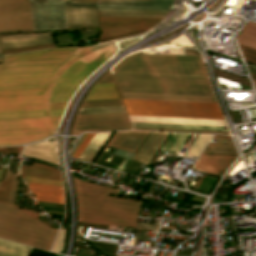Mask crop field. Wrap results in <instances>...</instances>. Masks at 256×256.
<instances>
[{"label":"crop field","instance_id":"crop-field-1","mask_svg":"<svg viewBox=\"0 0 256 256\" xmlns=\"http://www.w3.org/2000/svg\"><path fill=\"white\" fill-rule=\"evenodd\" d=\"M110 53L91 46L4 56L0 112L63 108L65 102L48 103L52 87L78 85Z\"/></svg>","mask_w":256,"mask_h":256},{"label":"crop field","instance_id":"crop-field-2","mask_svg":"<svg viewBox=\"0 0 256 256\" xmlns=\"http://www.w3.org/2000/svg\"><path fill=\"white\" fill-rule=\"evenodd\" d=\"M78 221L155 231L158 225L136 223L142 202L106 197L116 189L79 180L73 175Z\"/></svg>","mask_w":256,"mask_h":256},{"label":"crop field","instance_id":"crop-field-3","mask_svg":"<svg viewBox=\"0 0 256 256\" xmlns=\"http://www.w3.org/2000/svg\"><path fill=\"white\" fill-rule=\"evenodd\" d=\"M18 176L6 170L0 185V237L49 250L57 229L48 227L13 205Z\"/></svg>","mask_w":256,"mask_h":256},{"label":"crop field","instance_id":"crop-field-4","mask_svg":"<svg viewBox=\"0 0 256 256\" xmlns=\"http://www.w3.org/2000/svg\"><path fill=\"white\" fill-rule=\"evenodd\" d=\"M112 73L208 78L201 57L132 54Z\"/></svg>","mask_w":256,"mask_h":256},{"label":"crop field","instance_id":"crop-field-5","mask_svg":"<svg viewBox=\"0 0 256 256\" xmlns=\"http://www.w3.org/2000/svg\"><path fill=\"white\" fill-rule=\"evenodd\" d=\"M113 75L120 92L214 96L208 79Z\"/></svg>","mask_w":256,"mask_h":256},{"label":"crop field","instance_id":"crop-field-6","mask_svg":"<svg viewBox=\"0 0 256 256\" xmlns=\"http://www.w3.org/2000/svg\"><path fill=\"white\" fill-rule=\"evenodd\" d=\"M122 100L128 115L224 119L217 103Z\"/></svg>","mask_w":256,"mask_h":256},{"label":"crop field","instance_id":"crop-field-7","mask_svg":"<svg viewBox=\"0 0 256 256\" xmlns=\"http://www.w3.org/2000/svg\"><path fill=\"white\" fill-rule=\"evenodd\" d=\"M59 116L0 120V145L29 142L51 135Z\"/></svg>","mask_w":256,"mask_h":256},{"label":"crop field","instance_id":"crop-field-8","mask_svg":"<svg viewBox=\"0 0 256 256\" xmlns=\"http://www.w3.org/2000/svg\"><path fill=\"white\" fill-rule=\"evenodd\" d=\"M145 134L146 132L144 131L115 132L108 144L135 152ZM167 135L168 133L149 132L134 155L133 160L149 164Z\"/></svg>","mask_w":256,"mask_h":256},{"label":"crop field","instance_id":"crop-field-9","mask_svg":"<svg viewBox=\"0 0 256 256\" xmlns=\"http://www.w3.org/2000/svg\"><path fill=\"white\" fill-rule=\"evenodd\" d=\"M102 34L99 42L142 33L163 18H99Z\"/></svg>","mask_w":256,"mask_h":256},{"label":"crop field","instance_id":"crop-field-10","mask_svg":"<svg viewBox=\"0 0 256 256\" xmlns=\"http://www.w3.org/2000/svg\"><path fill=\"white\" fill-rule=\"evenodd\" d=\"M34 31L67 28L63 0H29Z\"/></svg>","mask_w":256,"mask_h":256},{"label":"crop field","instance_id":"crop-field-11","mask_svg":"<svg viewBox=\"0 0 256 256\" xmlns=\"http://www.w3.org/2000/svg\"><path fill=\"white\" fill-rule=\"evenodd\" d=\"M33 31L28 0H0V32Z\"/></svg>","mask_w":256,"mask_h":256},{"label":"crop field","instance_id":"crop-field-12","mask_svg":"<svg viewBox=\"0 0 256 256\" xmlns=\"http://www.w3.org/2000/svg\"><path fill=\"white\" fill-rule=\"evenodd\" d=\"M131 129L125 113L77 115L72 132Z\"/></svg>","mask_w":256,"mask_h":256},{"label":"crop field","instance_id":"crop-field-13","mask_svg":"<svg viewBox=\"0 0 256 256\" xmlns=\"http://www.w3.org/2000/svg\"><path fill=\"white\" fill-rule=\"evenodd\" d=\"M68 28L99 26L95 0H64Z\"/></svg>","mask_w":256,"mask_h":256},{"label":"crop field","instance_id":"crop-field-14","mask_svg":"<svg viewBox=\"0 0 256 256\" xmlns=\"http://www.w3.org/2000/svg\"><path fill=\"white\" fill-rule=\"evenodd\" d=\"M173 0H97L98 10H169Z\"/></svg>","mask_w":256,"mask_h":256},{"label":"crop field","instance_id":"crop-field-15","mask_svg":"<svg viewBox=\"0 0 256 256\" xmlns=\"http://www.w3.org/2000/svg\"><path fill=\"white\" fill-rule=\"evenodd\" d=\"M1 47L12 48V47H20L34 44H42L52 42L50 32L46 33H30V34H15L9 36L0 37Z\"/></svg>","mask_w":256,"mask_h":256},{"label":"crop field","instance_id":"crop-field-16","mask_svg":"<svg viewBox=\"0 0 256 256\" xmlns=\"http://www.w3.org/2000/svg\"><path fill=\"white\" fill-rule=\"evenodd\" d=\"M131 122L226 126L224 120L128 116Z\"/></svg>","mask_w":256,"mask_h":256},{"label":"crop field","instance_id":"crop-field-17","mask_svg":"<svg viewBox=\"0 0 256 256\" xmlns=\"http://www.w3.org/2000/svg\"><path fill=\"white\" fill-rule=\"evenodd\" d=\"M237 157L201 155L194 168L222 176Z\"/></svg>","mask_w":256,"mask_h":256},{"label":"crop field","instance_id":"crop-field-18","mask_svg":"<svg viewBox=\"0 0 256 256\" xmlns=\"http://www.w3.org/2000/svg\"><path fill=\"white\" fill-rule=\"evenodd\" d=\"M22 155L58 165V153L53 141L28 145Z\"/></svg>","mask_w":256,"mask_h":256},{"label":"crop field","instance_id":"crop-field-19","mask_svg":"<svg viewBox=\"0 0 256 256\" xmlns=\"http://www.w3.org/2000/svg\"><path fill=\"white\" fill-rule=\"evenodd\" d=\"M31 193L35 194V199L40 201L64 204L62 187L48 186L27 182Z\"/></svg>","mask_w":256,"mask_h":256},{"label":"crop field","instance_id":"crop-field-20","mask_svg":"<svg viewBox=\"0 0 256 256\" xmlns=\"http://www.w3.org/2000/svg\"><path fill=\"white\" fill-rule=\"evenodd\" d=\"M212 140L217 144L209 143L203 154L237 156L230 135H214Z\"/></svg>","mask_w":256,"mask_h":256},{"label":"crop field","instance_id":"crop-field-21","mask_svg":"<svg viewBox=\"0 0 256 256\" xmlns=\"http://www.w3.org/2000/svg\"><path fill=\"white\" fill-rule=\"evenodd\" d=\"M36 163H33L32 167L22 166L20 176L23 178L24 175H27V176L62 181L60 172L56 168L50 167V166H44L45 164L40 165Z\"/></svg>","mask_w":256,"mask_h":256},{"label":"crop field","instance_id":"crop-field-22","mask_svg":"<svg viewBox=\"0 0 256 256\" xmlns=\"http://www.w3.org/2000/svg\"><path fill=\"white\" fill-rule=\"evenodd\" d=\"M122 98L217 102L215 97L120 93Z\"/></svg>","mask_w":256,"mask_h":256},{"label":"crop field","instance_id":"crop-field-23","mask_svg":"<svg viewBox=\"0 0 256 256\" xmlns=\"http://www.w3.org/2000/svg\"><path fill=\"white\" fill-rule=\"evenodd\" d=\"M111 134L112 132L95 133L84 151L79 156V159L92 163Z\"/></svg>","mask_w":256,"mask_h":256},{"label":"crop field","instance_id":"crop-field-24","mask_svg":"<svg viewBox=\"0 0 256 256\" xmlns=\"http://www.w3.org/2000/svg\"><path fill=\"white\" fill-rule=\"evenodd\" d=\"M31 247L0 240V256H27Z\"/></svg>","mask_w":256,"mask_h":256},{"label":"crop field","instance_id":"crop-field-25","mask_svg":"<svg viewBox=\"0 0 256 256\" xmlns=\"http://www.w3.org/2000/svg\"><path fill=\"white\" fill-rule=\"evenodd\" d=\"M61 111H62V109L0 113V119L38 117V116H54V115H60Z\"/></svg>","mask_w":256,"mask_h":256},{"label":"crop field","instance_id":"crop-field-26","mask_svg":"<svg viewBox=\"0 0 256 256\" xmlns=\"http://www.w3.org/2000/svg\"><path fill=\"white\" fill-rule=\"evenodd\" d=\"M240 44L256 48V23L248 22L237 36Z\"/></svg>","mask_w":256,"mask_h":256},{"label":"crop field","instance_id":"crop-field-27","mask_svg":"<svg viewBox=\"0 0 256 256\" xmlns=\"http://www.w3.org/2000/svg\"><path fill=\"white\" fill-rule=\"evenodd\" d=\"M96 88V87H95ZM120 98L114 84L98 85L88 100Z\"/></svg>","mask_w":256,"mask_h":256},{"label":"crop field","instance_id":"crop-field-28","mask_svg":"<svg viewBox=\"0 0 256 256\" xmlns=\"http://www.w3.org/2000/svg\"><path fill=\"white\" fill-rule=\"evenodd\" d=\"M189 136L190 134L171 133L161 149L179 152Z\"/></svg>","mask_w":256,"mask_h":256},{"label":"crop field","instance_id":"crop-field-29","mask_svg":"<svg viewBox=\"0 0 256 256\" xmlns=\"http://www.w3.org/2000/svg\"><path fill=\"white\" fill-rule=\"evenodd\" d=\"M131 124H132V126H142V127H161V128H181V129L228 131L227 129H222V127H210V126H187V125H165V124H142V123H131Z\"/></svg>","mask_w":256,"mask_h":256},{"label":"crop field","instance_id":"crop-field-30","mask_svg":"<svg viewBox=\"0 0 256 256\" xmlns=\"http://www.w3.org/2000/svg\"><path fill=\"white\" fill-rule=\"evenodd\" d=\"M76 86L54 87L49 102L67 101L69 95Z\"/></svg>","mask_w":256,"mask_h":256},{"label":"crop field","instance_id":"crop-field-31","mask_svg":"<svg viewBox=\"0 0 256 256\" xmlns=\"http://www.w3.org/2000/svg\"><path fill=\"white\" fill-rule=\"evenodd\" d=\"M211 135L199 134L194 143L186 152L185 156L189 157L191 154L198 156L204 145L207 143Z\"/></svg>","mask_w":256,"mask_h":256},{"label":"crop field","instance_id":"crop-field-32","mask_svg":"<svg viewBox=\"0 0 256 256\" xmlns=\"http://www.w3.org/2000/svg\"><path fill=\"white\" fill-rule=\"evenodd\" d=\"M125 112L122 106L83 108L81 114Z\"/></svg>","mask_w":256,"mask_h":256},{"label":"crop field","instance_id":"crop-field-33","mask_svg":"<svg viewBox=\"0 0 256 256\" xmlns=\"http://www.w3.org/2000/svg\"><path fill=\"white\" fill-rule=\"evenodd\" d=\"M114 150H115V147H111V146H110L109 149H108V151H107L108 153H107L106 157L104 158V160H106V158L109 156L110 153L113 154ZM122 160H123V157H119V156L113 155V157L110 159L109 162H107V161H103V162H102V160L97 159L96 164L100 165L101 162H102L101 166H105V167L111 168L114 163L120 164V162H121ZM116 166H117V165L114 164L112 168L115 169Z\"/></svg>","mask_w":256,"mask_h":256},{"label":"crop field","instance_id":"crop-field-34","mask_svg":"<svg viewBox=\"0 0 256 256\" xmlns=\"http://www.w3.org/2000/svg\"><path fill=\"white\" fill-rule=\"evenodd\" d=\"M122 105L120 99L83 101L81 107Z\"/></svg>","mask_w":256,"mask_h":256},{"label":"crop field","instance_id":"crop-field-35","mask_svg":"<svg viewBox=\"0 0 256 256\" xmlns=\"http://www.w3.org/2000/svg\"><path fill=\"white\" fill-rule=\"evenodd\" d=\"M94 135V133H90V134H84V136L82 137V139L79 141V143L77 144V146L75 147V149L72 151V153L70 154L71 157H76L78 158V156L80 155V153L83 151V149L85 148V146L87 145V143L89 142V140L92 138V136ZM75 158V159H76Z\"/></svg>","mask_w":256,"mask_h":256},{"label":"crop field","instance_id":"crop-field-36","mask_svg":"<svg viewBox=\"0 0 256 256\" xmlns=\"http://www.w3.org/2000/svg\"><path fill=\"white\" fill-rule=\"evenodd\" d=\"M240 45V44H239ZM244 58L247 62L256 64V49L240 45Z\"/></svg>","mask_w":256,"mask_h":256},{"label":"crop field","instance_id":"crop-field-37","mask_svg":"<svg viewBox=\"0 0 256 256\" xmlns=\"http://www.w3.org/2000/svg\"><path fill=\"white\" fill-rule=\"evenodd\" d=\"M25 181L62 186V182H59V181H51V180H45V179H38V178H32V177H27V176H25Z\"/></svg>","mask_w":256,"mask_h":256},{"label":"crop field","instance_id":"crop-field-38","mask_svg":"<svg viewBox=\"0 0 256 256\" xmlns=\"http://www.w3.org/2000/svg\"><path fill=\"white\" fill-rule=\"evenodd\" d=\"M63 240H64V230H59L57 240L52 248V251H55V252L60 251L63 246Z\"/></svg>","mask_w":256,"mask_h":256},{"label":"crop field","instance_id":"crop-field-39","mask_svg":"<svg viewBox=\"0 0 256 256\" xmlns=\"http://www.w3.org/2000/svg\"><path fill=\"white\" fill-rule=\"evenodd\" d=\"M133 128H134V129H146V130H169V131H193V132L228 133V132H219V131L180 130V129H161V128H142V127H133Z\"/></svg>","mask_w":256,"mask_h":256},{"label":"crop field","instance_id":"crop-field-40","mask_svg":"<svg viewBox=\"0 0 256 256\" xmlns=\"http://www.w3.org/2000/svg\"><path fill=\"white\" fill-rule=\"evenodd\" d=\"M114 83L111 73L108 74L99 84Z\"/></svg>","mask_w":256,"mask_h":256},{"label":"crop field","instance_id":"crop-field-41","mask_svg":"<svg viewBox=\"0 0 256 256\" xmlns=\"http://www.w3.org/2000/svg\"><path fill=\"white\" fill-rule=\"evenodd\" d=\"M186 55L201 56L197 50L186 48Z\"/></svg>","mask_w":256,"mask_h":256},{"label":"crop field","instance_id":"crop-field-42","mask_svg":"<svg viewBox=\"0 0 256 256\" xmlns=\"http://www.w3.org/2000/svg\"><path fill=\"white\" fill-rule=\"evenodd\" d=\"M250 74H251V73H250ZM251 77H252V79H253L254 81H256V75L251 74Z\"/></svg>","mask_w":256,"mask_h":256},{"label":"crop field","instance_id":"crop-field-43","mask_svg":"<svg viewBox=\"0 0 256 256\" xmlns=\"http://www.w3.org/2000/svg\"><path fill=\"white\" fill-rule=\"evenodd\" d=\"M0 61H3L2 54H1V49H0Z\"/></svg>","mask_w":256,"mask_h":256},{"label":"crop field","instance_id":"crop-field-44","mask_svg":"<svg viewBox=\"0 0 256 256\" xmlns=\"http://www.w3.org/2000/svg\"><path fill=\"white\" fill-rule=\"evenodd\" d=\"M254 82V81H253ZM254 84H255V87H256V82H254Z\"/></svg>","mask_w":256,"mask_h":256}]
</instances>
